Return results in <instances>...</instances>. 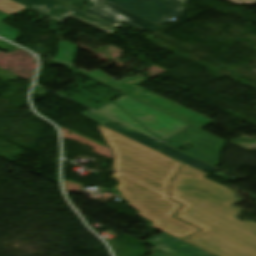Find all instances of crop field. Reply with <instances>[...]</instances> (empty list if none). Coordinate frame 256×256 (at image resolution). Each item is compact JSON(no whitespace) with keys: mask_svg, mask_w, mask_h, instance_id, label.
Listing matches in <instances>:
<instances>
[{"mask_svg":"<svg viewBox=\"0 0 256 256\" xmlns=\"http://www.w3.org/2000/svg\"><path fill=\"white\" fill-rule=\"evenodd\" d=\"M38 1L45 3L63 13H65V14H68L73 17H77V18L81 19L82 21L86 22L87 24H89L99 30H102L104 32L113 33L116 31L114 26L107 24L91 15L80 12L77 9H75L74 7H71V6L64 4L62 2H59L57 0H38Z\"/></svg>","mask_w":256,"mask_h":256,"instance_id":"obj_10","label":"crop field"},{"mask_svg":"<svg viewBox=\"0 0 256 256\" xmlns=\"http://www.w3.org/2000/svg\"><path fill=\"white\" fill-rule=\"evenodd\" d=\"M26 7H29L37 12H40L48 17H51L59 22L65 20L66 18H68L69 16L47 6L44 5L36 0H14Z\"/></svg>","mask_w":256,"mask_h":256,"instance_id":"obj_12","label":"crop field"},{"mask_svg":"<svg viewBox=\"0 0 256 256\" xmlns=\"http://www.w3.org/2000/svg\"><path fill=\"white\" fill-rule=\"evenodd\" d=\"M181 1H183V2L187 3V1H188V0H181Z\"/></svg>","mask_w":256,"mask_h":256,"instance_id":"obj_19","label":"crop field"},{"mask_svg":"<svg viewBox=\"0 0 256 256\" xmlns=\"http://www.w3.org/2000/svg\"><path fill=\"white\" fill-rule=\"evenodd\" d=\"M87 77L105 86L114 88L122 93H125L134 87L136 89L127 93L126 95H129L139 101H142L163 112H166L174 117H177L200 129L214 122L206 117H203L195 112H192L184 107H181L173 102H170L162 97H159L151 92H148L136 86L137 84L145 80L140 76L128 78V79H125L124 81H114L100 72H95L88 75Z\"/></svg>","mask_w":256,"mask_h":256,"instance_id":"obj_3","label":"crop field"},{"mask_svg":"<svg viewBox=\"0 0 256 256\" xmlns=\"http://www.w3.org/2000/svg\"><path fill=\"white\" fill-rule=\"evenodd\" d=\"M146 243L173 256H211L165 233L146 241Z\"/></svg>","mask_w":256,"mask_h":256,"instance_id":"obj_9","label":"crop field"},{"mask_svg":"<svg viewBox=\"0 0 256 256\" xmlns=\"http://www.w3.org/2000/svg\"><path fill=\"white\" fill-rule=\"evenodd\" d=\"M98 128L112 149V168L116 170L112 178L120 182L114 189L121 192L127 205L153 222L151 227L177 239L199 231L172 218L182 205L168 199L169 182L183 164L101 125Z\"/></svg>","mask_w":256,"mask_h":256,"instance_id":"obj_1","label":"crop field"},{"mask_svg":"<svg viewBox=\"0 0 256 256\" xmlns=\"http://www.w3.org/2000/svg\"><path fill=\"white\" fill-rule=\"evenodd\" d=\"M114 103L163 141L186 130L187 123L129 96L124 95Z\"/></svg>","mask_w":256,"mask_h":256,"instance_id":"obj_4","label":"crop field"},{"mask_svg":"<svg viewBox=\"0 0 256 256\" xmlns=\"http://www.w3.org/2000/svg\"><path fill=\"white\" fill-rule=\"evenodd\" d=\"M236 4H256V0H230Z\"/></svg>","mask_w":256,"mask_h":256,"instance_id":"obj_17","label":"crop field"},{"mask_svg":"<svg viewBox=\"0 0 256 256\" xmlns=\"http://www.w3.org/2000/svg\"><path fill=\"white\" fill-rule=\"evenodd\" d=\"M75 45L68 42H60V48L56 60L71 64Z\"/></svg>","mask_w":256,"mask_h":256,"instance_id":"obj_15","label":"crop field"},{"mask_svg":"<svg viewBox=\"0 0 256 256\" xmlns=\"http://www.w3.org/2000/svg\"><path fill=\"white\" fill-rule=\"evenodd\" d=\"M98 112L109 116L115 120H118L126 125H129L137 130H140L146 134H149L153 136L151 133H149L147 130H145L143 127H141L138 123H136L131 117H129L123 110H121L119 107H117L114 103H109L102 109H100ZM155 137V136H153ZM156 138V137H155Z\"/></svg>","mask_w":256,"mask_h":256,"instance_id":"obj_11","label":"crop field"},{"mask_svg":"<svg viewBox=\"0 0 256 256\" xmlns=\"http://www.w3.org/2000/svg\"><path fill=\"white\" fill-rule=\"evenodd\" d=\"M215 139L217 137L192 127L164 142L175 148L183 145L185 141L191 142L197 146L188 150V154L217 166L220 162V152L225 141L221 139L216 141Z\"/></svg>","mask_w":256,"mask_h":256,"instance_id":"obj_6","label":"crop field"},{"mask_svg":"<svg viewBox=\"0 0 256 256\" xmlns=\"http://www.w3.org/2000/svg\"><path fill=\"white\" fill-rule=\"evenodd\" d=\"M94 6L85 12L95 15L112 24L119 21H124L132 26H135L141 30H150L156 32L163 29L139 16H136L122 8L112 5L103 0H90Z\"/></svg>","mask_w":256,"mask_h":256,"instance_id":"obj_7","label":"crop field"},{"mask_svg":"<svg viewBox=\"0 0 256 256\" xmlns=\"http://www.w3.org/2000/svg\"><path fill=\"white\" fill-rule=\"evenodd\" d=\"M80 115H82V116H84V117H86V118H88V119H90V120H92V121H94L98 124H101V125H103L107 128H110L114 131H117V132H119L123 135H126V136H128L132 139H135V140H137V141H139L143 144H146V145H148V146H150V147H152L156 150L160 149V142L159 141H157V140H155L151 137H148L144 134H141L139 132H136V131H134V130H132V129L120 124V123H117V122H115V121L97 113V112L89 110V111H87L85 113H82Z\"/></svg>","mask_w":256,"mask_h":256,"instance_id":"obj_8","label":"crop field"},{"mask_svg":"<svg viewBox=\"0 0 256 256\" xmlns=\"http://www.w3.org/2000/svg\"><path fill=\"white\" fill-rule=\"evenodd\" d=\"M185 164L172 182V199L185 204L176 217L203 231L184 241L216 256H256V223L235 219V192Z\"/></svg>","mask_w":256,"mask_h":256,"instance_id":"obj_2","label":"crop field"},{"mask_svg":"<svg viewBox=\"0 0 256 256\" xmlns=\"http://www.w3.org/2000/svg\"><path fill=\"white\" fill-rule=\"evenodd\" d=\"M26 7L12 1V0H0V10L12 15Z\"/></svg>","mask_w":256,"mask_h":256,"instance_id":"obj_16","label":"crop field"},{"mask_svg":"<svg viewBox=\"0 0 256 256\" xmlns=\"http://www.w3.org/2000/svg\"><path fill=\"white\" fill-rule=\"evenodd\" d=\"M158 25L180 18L186 4L179 0H105Z\"/></svg>","mask_w":256,"mask_h":256,"instance_id":"obj_5","label":"crop field"},{"mask_svg":"<svg viewBox=\"0 0 256 256\" xmlns=\"http://www.w3.org/2000/svg\"><path fill=\"white\" fill-rule=\"evenodd\" d=\"M162 152L166 153V154H168V155H170L174 158H177V159H179V160H181V161H183L187 164L195 166V167H197L201 170H208L210 172H213V171L217 170V169H215V168H213V167H211V166H209V165H207L203 162H200V161H198V160H196V159H194V158H192V157H190V156H188L184 153H181V152H179V151H177V150H175V149H173V148H171L167 145L163 146Z\"/></svg>","mask_w":256,"mask_h":256,"instance_id":"obj_13","label":"crop field"},{"mask_svg":"<svg viewBox=\"0 0 256 256\" xmlns=\"http://www.w3.org/2000/svg\"><path fill=\"white\" fill-rule=\"evenodd\" d=\"M10 15L0 11V21L9 17ZM0 36L11 41L18 39V30L0 22Z\"/></svg>","mask_w":256,"mask_h":256,"instance_id":"obj_14","label":"crop field"},{"mask_svg":"<svg viewBox=\"0 0 256 256\" xmlns=\"http://www.w3.org/2000/svg\"><path fill=\"white\" fill-rule=\"evenodd\" d=\"M59 1H63V0H59Z\"/></svg>","mask_w":256,"mask_h":256,"instance_id":"obj_20","label":"crop field"},{"mask_svg":"<svg viewBox=\"0 0 256 256\" xmlns=\"http://www.w3.org/2000/svg\"><path fill=\"white\" fill-rule=\"evenodd\" d=\"M153 251H157V252H154V255L156 256H170L162 251H159V250H153Z\"/></svg>","mask_w":256,"mask_h":256,"instance_id":"obj_18","label":"crop field"}]
</instances>
